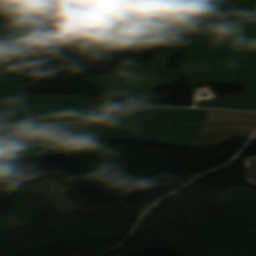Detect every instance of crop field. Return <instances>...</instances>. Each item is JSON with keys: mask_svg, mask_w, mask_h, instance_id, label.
Segmentation results:
<instances>
[{"mask_svg": "<svg viewBox=\"0 0 256 256\" xmlns=\"http://www.w3.org/2000/svg\"><path fill=\"white\" fill-rule=\"evenodd\" d=\"M186 58L203 63L194 82L256 86V22L203 30Z\"/></svg>", "mask_w": 256, "mask_h": 256, "instance_id": "obj_1", "label": "crop field"}, {"mask_svg": "<svg viewBox=\"0 0 256 256\" xmlns=\"http://www.w3.org/2000/svg\"><path fill=\"white\" fill-rule=\"evenodd\" d=\"M30 124L98 120L89 110L102 109L117 115L136 109L119 111L104 102L86 98H30L24 88H19ZM139 109V108H137Z\"/></svg>", "mask_w": 256, "mask_h": 256, "instance_id": "obj_2", "label": "crop field"}, {"mask_svg": "<svg viewBox=\"0 0 256 256\" xmlns=\"http://www.w3.org/2000/svg\"><path fill=\"white\" fill-rule=\"evenodd\" d=\"M171 108H152L100 122L30 127L35 140L72 138L132 126L168 124Z\"/></svg>", "mask_w": 256, "mask_h": 256, "instance_id": "obj_3", "label": "crop field"}, {"mask_svg": "<svg viewBox=\"0 0 256 256\" xmlns=\"http://www.w3.org/2000/svg\"><path fill=\"white\" fill-rule=\"evenodd\" d=\"M216 122H246L256 125V113L209 110L207 124L192 146L221 143L228 136L233 135L250 136L256 129L255 125L250 124Z\"/></svg>", "mask_w": 256, "mask_h": 256, "instance_id": "obj_4", "label": "crop field"}, {"mask_svg": "<svg viewBox=\"0 0 256 256\" xmlns=\"http://www.w3.org/2000/svg\"><path fill=\"white\" fill-rule=\"evenodd\" d=\"M208 110L172 109L170 124L203 123V125H166L155 143L189 147L204 127Z\"/></svg>", "mask_w": 256, "mask_h": 256, "instance_id": "obj_5", "label": "crop field"}, {"mask_svg": "<svg viewBox=\"0 0 256 256\" xmlns=\"http://www.w3.org/2000/svg\"><path fill=\"white\" fill-rule=\"evenodd\" d=\"M20 86L21 66L0 75V126L29 124L18 89Z\"/></svg>", "mask_w": 256, "mask_h": 256, "instance_id": "obj_6", "label": "crop field"}, {"mask_svg": "<svg viewBox=\"0 0 256 256\" xmlns=\"http://www.w3.org/2000/svg\"><path fill=\"white\" fill-rule=\"evenodd\" d=\"M12 157L48 156L109 150L108 144L84 140H59L11 144Z\"/></svg>", "mask_w": 256, "mask_h": 256, "instance_id": "obj_7", "label": "crop field"}, {"mask_svg": "<svg viewBox=\"0 0 256 256\" xmlns=\"http://www.w3.org/2000/svg\"><path fill=\"white\" fill-rule=\"evenodd\" d=\"M164 127L165 125L142 127L130 130L108 132L77 139L93 140L98 142H100V140H128L141 143H150L154 142Z\"/></svg>", "mask_w": 256, "mask_h": 256, "instance_id": "obj_8", "label": "crop field"}, {"mask_svg": "<svg viewBox=\"0 0 256 256\" xmlns=\"http://www.w3.org/2000/svg\"><path fill=\"white\" fill-rule=\"evenodd\" d=\"M245 93L256 98V87H244ZM223 98V100H220ZM197 102V107L238 109L256 111V100L244 95L236 94Z\"/></svg>", "mask_w": 256, "mask_h": 256, "instance_id": "obj_9", "label": "crop field"}, {"mask_svg": "<svg viewBox=\"0 0 256 256\" xmlns=\"http://www.w3.org/2000/svg\"><path fill=\"white\" fill-rule=\"evenodd\" d=\"M34 140L29 127L0 129V143Z\"/></svg>", "mask_w": 256, "mask_h": 256, "instance_id": "obj_10", "label": "crop field"}, {"mask_svg": "<svg viewBox=\"0 0 256 256\" xmlns=\"http://www.w3.org/2000/svg\"><path fill=\"white\" fill-rule=\"evenodd\" d=\"M5 30V43H4V55H3V67L5 72L11 70L15 67H18L22 64L9 65L10 64V50H11V38L12 31L8 25H1Z\"/></svg>", "mask_w": 256, "mask_h": 256, "instance_id": "obj_11", "label": "crop field"}, {"mask_svg": "<svg viewBox=\"0 0 256 256\" xmlns=\"http://www.w3.org/2000/svg\"><path fill=\"white\" fill-rule=\"evenodd\" d=\"M246 178L250 184L256 185V159L246 160Z\"/></svg>", "mask_w": 256, "mask_h": 256, "instance_id": "obj_12", "label": "crop field"}, {"mask_svg": "<svg viewBox=\"0 0 256 256\" xmlns=\"http://www.w3.org/2000/svg\"><path fill=\"white\" fill-rule=\"evenodd\" d=\"M11 157L10 144H0V158Z\"/></svg>", "mask_w": 256, "mask_h": 256, "instance_id": "obj_13", "label": "crop field"}, {"mask_svg": "<svg viewBox=\"0 0 256 256\" xmlns=\"http://www.w3.org/2000/svg\"><path fill=\"white\" fill-rule=\"evenodd\" d=\"M0 74L3 73V67H2V55H3V42H4V30L0 26Z\"/></svg>", "mask_w": 256, "mask_h": 256, "instance_id": "obj_14", "label": "crop field"}, {"mask_svg": "<svg viewBox=\"0 0 256 256\" xmlns=\"http://www.w3.org/2000/svg\"><path fill=\"white\" fill-rule=\"evenodd\" d=\"M256 3V0H255ZM244 23L256 21V13L240 16Z\"/></svg>", "mask_w": 256, "mask_h": 256, "instance_id": "obj_15", "label": "crop field"}]
</instances>
